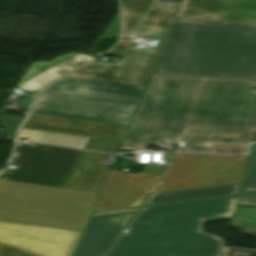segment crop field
Instances as JSON below:
<instances>
[{
  "label": "crop field",
  "instance_id": "crop-field-15",
  "mask_svg": "<svg viewBox=\"0 0 256 256\" xmlns=\"http://www.w3.org/2000/svg\"><path fill=\"white\" fill-rule=\"evenodd\" d=\"M94 58L75 52L60 56L51 62L31 63L17 87L37 91L49 81L83 65Z\"/></svg>",
  "mask_w": 256,
  "mask_h": 256
},
{
  "label": "crop field",
  "instance_id": "crop-field-10",
  "mask_svg": "<svg viewBox=\"0 0 256 256\" xmlns=\"http://www.w3.org/2000/svg\"><path fill=\"white\" fill-rule=\"evenodd\" d=\"M81 232L0 221V243L36 256H70Z\"/></svg>",
  "mask_w": 256,
  "mask_h": 256
},
{
  "label": "crop field",
  "instance_id": "crop-field-12",
  "mask_svg": "<svg viewBox=\"0 0 256 256\" xmlns=\"http://www.w3.org/2000/svg\"><path fill=\"white\" fill-rule=\"evenodd\" d=\"M140 208L93 213L73 256H103Z\"/></svg>",
  "mask_w": 256,
  "mask_h": 256
},
{
  "label": "crop field",
  "instance_id": "crop-field-19",
  "mask_svg": "<svg viewBox=\"0 0 256 256\" xmlns=\"http://www.w3.org/2000/svg\"><path fill=\"white\" fill-rule=\"evenodd\" d=\"M18 137H27L30 139V141H33V142H41V143L81 147V148L85 147L89 139L86 137L25 130V129L20 130Z\"/></svg>",
  "mask_w": 256,
  "mask_h": 256
},
{
  "label": "crop field",
  "instance_id": "crop-field-6",
  "mask_svg": "<svg viewBox=\"0 0 256 256\" xmlns=\"http://www.w3.org/2000/svg\"><path fill=\"white\" fill-rule=\"evenodd\" d=\"M97 195L0 180V219L82 230Z\"/></svg>",
  "mask_w": 256,
  "mask_h": 256
},
{
  "label": "crop field",
  "instance_id": "crop-field-5",
  "mask_svg": "<svg viewBox=\"0 0 256 256\" xmlns=\"http://www.w3.org/2000/svg\"><path fill=\"white\" fill-rule=\"evenodd\" d=\"M204 79L152 75L120 149L179 140Z\"/></svg>",
  "mask_w": 256,
  "mask_h": 256
},
{
  "label": "crop field",
  "instance_id": "crop-field-3",
  "mask_svg": "<svg viewBox=\"0 0 256 256\" xmlns=\"http://www.w3.org/2000/svg\"><path fill=\"white\" fill-rule=\"evenodd\" d=\"M256 81L208 78L178 151L244 154L256 130Z\"/></svg>",
  "mask_w": 256,
  "mask_h": 256
},
{
  "label": "crop field",
  "instance_id": "crop-field-27",
  "mask_svg": "<svg viewBox=\"0 0 256 256\" xmlns=\"http://www.w3.org/2000/svg\"><path fill=\"white\" fill-rule=\"evenodd\" d=\"M254 141H256V137H255V140Z\"/></svg>",
  "mask_w": 256,
  "mask_h": 256
},
{
  "label": "crop field",
  "instance_id": "crop-field-4",
  "mask_svg": "<svg viewBox=\"0 0 256 256\" xmlns=\"http://www.w3.org/2000/svg\"><path fill=\"white\" fill-rule=\"evenodd\" d=\"M143 89L64 77L38 94L31 113L127 126Z\"/></svg>",
  "mask_w": 256,
  "mask_h": 256
},
{
  "label": "crop field",
  "instance_id": "crop-field-22",
  "mask_svg": "<svg viewBox=\"0 0 256 256\" xmlns=\"http://www.w3.org/2000/svg\"><path fill=\"white\" fill-rule=\"evenodd\" d=\"M122 142L91 138L86 149L118 152Z\"/></svg>",
  "mask_w": 256,
  "mask_h": 256
},
{
  "label": "crop field",
  "instance_id": "crop-field-21",
  "mask_svg": "<svg viewBox=\"0 0 256 256\" xmlns=\"http://www.w3.org/2000/svg\"><path fill=\"white\" fill-rule=\"evenodd\" d=\"M155 0H126L122 6L123 35H128Z\"/></svg>",
  "mask_w": 256,
  "mask_h": 256
},
{
  "label": "crop field",
  "instance_id": "crop-field-17",
  "mask_svg": "<svg viewBox=\"0 0 256 256\" xmlns=\"http://www.w3.org/2000/svg\"><path fill=\"white\" fill-rule=\"evenodd\" d=\"M179 4L157 2L140 21L132 34L166 38Z\"/></svg>",
  "mask_w": 256,
  "mask_h": 256
},
{
  "label": "crop field",
  "instance_id": "crop-field-23",
  "mask_svg": "<svg viewBox=\"0 0 256 256\" xmlns=\"http://www.w3.org/2000/svg\"><path fill=\"white\" fill-rule=\"evenodd\" d=\"M22 119L14 118V117H7L0 115V123L2 127H9L6 139L14 140L16 131Z\"/></svg>",
  "mask_w": 256,
  "mask_h": 256
},
{
  "label": "crop field",
  "instance_id": "crop-field-18",
  "mask_svg": "<svg viewBox=\"0 0 256 256\" xmlns=\"http://www.w3.org/2000/svg\"><path fill=\"white\" fill-rule=\"evenodd\" d=\"M239 185L150 193L144 205L234 195L238 193Z\"/></svg>",
  "mask_w": 256,
  "mask_h": 256
},
{
  "label": "crop field",
  "instance_id": "crop-field-16",
  "mask_svg": "<svg viewBox=\"0 0 256 256\" xmlns=\"http://www.w3.org/2000/svg\"><path fill=\"white\" fill-rule=\"evenodd\" d=\"M104 155L86 151L66 187L100 192L110 170L103 161Z\"/></svg>",
  "mask_w": 256,
  "mask_h": 256
},
{
  "label": "crop field",
  "instance_id": "crop-field-24",
  "mask_svg": "<svg viewBox=\"0 0 256 256\" xmlns=\"http://www.w3.org/2000/svg\"><path fill=\"white\" fill-rule=\"evenodd\" d=\"M222 256H256V250L224 247Z\"/></svg>",
  "mask_w": 256,
  "mask_h": 256
},
{
  "label": "crop field",
  "instance_id": "crop-field-11",
  "mask_svg": "<svg viewBox=\"0 0 256 256\" xmlns=\"http://www.w3.org/2000/svg\"><path fill=\"white\" fill-rule=\"evenodd\" d=\"M159 177L111 170L93 211L142 205Z\"/></svg>",
  "mask_w": 256,
  "mask_h": 256
},
{
  "label": "crop field",
  "instance_id": "crop-field-14",
  "mask_svg": "<svg viewBox=\"0 0 256 256\" xmlns=\"http://www.w3.org/2000/svg\"><path fill=\"white\" fill-rule=\"evenodd\" d=\"M22 128L121 141L127 128L30 114Z\"/></svg>",
  "mask_w": 256,
  "mask_h": 256
},
{
  "label": "crop field",
  "instance_id": "crop-field-2",
  "mask_svg": "<svg viewBox=\"0 0 256 256\" xmlns=\"http://www.w3.org/2000/svg\"><path fill=\"white\" fill-rule=\"evenodd\" d=\"M153 74L256 80V24L176 20Z\"/></svg>",
  "mask_w": 256,
  "mask_h": 256
},
{
  "label": "crop field",
  "instance_id": "crop-field-13",
  "mask_svg": "<svg viewBox=\"0 0 256 256\" xmlns=\"http://www.w3.org/2000/svg\"><path fill=\"white\" fill-rule=\"evenodd\" d=\"M176 19L256 23V0H183Z\"/></svg>",
  "mask_w": 256,
  "mask_h": 256
},
{
  "label": "crop field",
  "instance_id": "crop-field-1",
  "mask_svg": "<svg viewBox=\"0 0 256 256\" xmlns=\"http://www.w3.org/2000/svg\"><path fill=\"white\" fill-rule=\"evenodd\" d=\"M237 196L144 207L106 256H221L225 240L200 231L230 218Z\"/></svg>",
  "mask_w": 256,
  "mask_h": 256
},
{
  "label": "crop field",
  "instance_id": "crop-field-20",
  "mask_svg": "<svg viewBox=\"0 0 256 256\" xmlns=\"http://www.w3.org/2000/svg\"><path fill=\"white\" fill-rule=\"evenodd\" d=\"M237 204L256 205V143L252 146L250 160L247 165Z\"/></svg>",
  "mask_w": 256,
  "mask_h": 256
},
{
  "label": "crop field",
  "instance_id": "crop-field-26",
  "mask_svg": "<svg viewBox=\"0 0 256 256\" xmlns=\"http://www.w3.org/2000/svg\"><path fill=\"white\" fill-rule=\"evenodd\" d=\"M158 1L181 2V0H158Z\"/></svg>",
  "mask_w": 256,
  "mask_h": 256
},
{
  "label": "crop field",
  "instance_id": "crop-field-8",
  "mask_svg": "<svg viewBox=\"0 0 256 256\" xmlns=\"http://www.w3.org/2000/svg\"><path fill=\"white\" fill-rule=\"evenodd\" d=\"M83 151L18 142L11 163L18 166L0 174V179L31 182L63 188Z\"/></svg>",
  "mask_w": 256,
  "mask_h": 256
},
{
  "label": "crop field",
  "instance_id": "crop-field-9",
  "mask_svg": "<svg viewBox=\"0 0 256 256\" xmlns=\"http://www.w3.org/2000/svg\"><path fill=\"white\" fill-rule=\"evenodd\" d=\"M159 52L132 46L114 48L107 54L124 56L116 64L93 62L68 76L145 87Z\"/></svg>",
  "mask_w": 256,
  "mask_h": 256
},
{
  "label": "crop field",
  "instance_id": "crop-field-25",
  "mask_svg": "<svg viewBox=\"0 0 256 256\" xmlns=\"http://www.w3.org/2000/svg\"><path fill=\"white\" fill-rule=\"evenodd\" d=\"M0 256H33L8 245L0 244Z\"/></svg>",
  "mask_w": 256,
  "mask_h": 256
},
{
  "label": "crop field",
  "instance_id": "crop-field-7",
  "mask_svg": "<svg viewBox=\"0 0 256 256\" xmlns=\"http://www.w3.org/2000/svg\"><path fill=\"white\" fill-rule=\"evenodd\" d=\"M247 158L177 153L162 185L151 192L240 183Z\"/></svg>",
  "mask_w": 256,
  "mask_h": 256
}]
</instances>
